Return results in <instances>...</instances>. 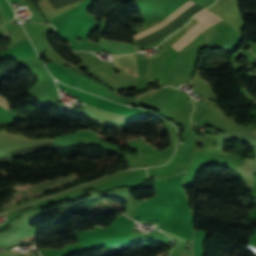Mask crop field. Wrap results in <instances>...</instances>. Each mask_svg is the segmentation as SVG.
Masks as SVG:
<instances>
[{
  "label": "crop field",
  "instance_id": "ac0d7876",
  "mask_svg": "<svg viewBox=\"0 0 256 256\" xmlns=\"http://www.w3.org/2000/svg\"><path fill=\"white\" fill-rule=\"evenodd\" d=\"M99 45L102 51L113 53V54L134 52V47L132 45H128V44H124L116 41H107L104 39H100Z\"/></svg>",
  "mask_w": 256,
  "mask_h": 256
},
{
  "label": "crop field",
  "instance_id": "412701ff",
  "mask_svg": "<svg viewBox=\"0 0 256 256\" xmlns=\"http://www.w3.org/2000/svg\"><path fill=\"white\" fill-rule=\"evenodd\" d=\"M195 18L198 19V21L200 22V24L205 28H209L212 25L216 24L217 22H219L220 20H222L220 17H218L217 15L209 12L208 10H203L201 12H199L198 14H196Z\"/></svg>",
  "mask_w": 256,
  "mask_h": 256
},
{
  "label": "crop field",
  "instance_id": "8a807250",
  "mask_svg": "<svg viewBox=\"0 0 256 256\" xmlns=\"http://www.w3.org/2000/svg\"><path fill=\"white\" fill-rule=\"evenodd\" d=\"M114 65L123 69L124 72L138 78V68L135 55L115 57L113 56Z\"/></svg>",
  "mask_w": 256,
  "mask_h": 256
},
{
  "label": "crop field",
  "instance_id": "f4fd0767",
  "mask_svg": "<svg viewBox=\"0 0 256 256\" xmlns=\"http://www.w3.org/2000/svg\"><path fill=\"white\" fill-rule=\"evenodd\" d=\"M202 31H204L202 26L200 24L196 25L185 36H183L179 41L174 43L172 45V47H174L176 50L179 51L182 47H184L186 44H188L196 35H198Z\"/></svg>",
  "mask_w": 256,
  "mask_h": 256
},
{
  "label": "crop field",
  "instance_id": "dd49c442",
  "mask_svg": "<svg viewBox=\"0 0 256 256\" xmlns=\"http://www.w3.org/2000/svg\"><path fill=\"white\" fill-rule=\"evenodd\" d=\"M0 106H2L5 110L12 108L9 102L1 96H0Z\"/></svg>",
  "mask_w": 256,
  "mask_h": 256
},
{
  "label": "crop field",
  "instance_id": "34b2d1b8",
  "mask_svg": "<svg viewBox=\"0 0 256 256\" xmlns=\"http://www.w3.org/2000/svg\"><path fill=\"white\" fill-rule=\"evenodd\" d=\"M195 3H193L192 1H188L186 2L184 5H182L179 9H177L175 12H173L171 15H169L166 19H164L162 22H160L159 24L150 27L138 34H136V36H134L135 40L163 27L164 25H166L168 22H170L171 20H173L175 17H177L178 15H180L181 13H183L185 10H187L188 8H190L192 5H194ZM169 24V23H168ZM165 27V26H164Z\"/></svg>",
  "mask_w": 256,
  "mask_h": 256
}]
</instances>
